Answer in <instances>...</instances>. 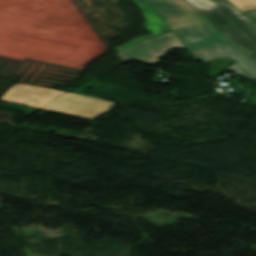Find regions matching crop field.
Masks as SVG:
<instances>
[{
  "instance_id": "1",
  "label": "crop field",
  "mask_w": 256,
  "mask_h": 256,
  "mask_svg": "<svg viewBox=\"0 0 256 256\" xmlns=\"http://www.w3.org/2000/svg\"><path fill=\"white\" fill-rule=\"evenodd\" d=\"M201 61L229 56L238 63L229 67L256 79V65L220 33L186 0H145Z\"/></svg>"
},
{
  "instance_id": "2",
  "label": "crop field",
  "mask_w": 256,
  "mask_h": 256,
  "mask_svg": "<svg viewBox=\"0 0 256 256\" xmlns=\"http://www.w3.org/2000/svg\"><path fill=\"white\" fill-rule=\"evenodd\" d=\"M10 89V88H9ZM40 86L18 83L0 99L42 110L93 120L107 113L113 102L68 93Z\"/></svg>"
},
{
  "instance_id": "3",
  "label": "crop field",
  "mask_w": 256,
  "mask_h": 256,
  "mask_svg": "<svg viewBox=\"0 0 256 256\" xmlns=\"http://www.w3.org/2000/svg\"><path fill=\"white\" fill-rule=\"evenodd\" d=\"M206 1L212 8L198 11L256 64V24L228 0Z\"/></svg>"
},
{
  "instance_id": "4",
  "label": "crop field",
  "mask_w": 256,
  "mask_h": 256,
  "mask_svg": "<svg viewBox=\"0 0 256 256\" xmlns=\"http://www.w3.org/2000/svg\"><path fill=\"white\" fill-rule=\"evenodd\" d=\"M173 32L133 44L117 54L123 62L136 60L154 65L171 48H183Z\"/></svg>"
},
{
  "instance_id": "5",
  "label": "crop field",
  "mask_w": 256,
  "mask_h": 256,
  "mask_svg": "<svg viewBox=\"0 0 256 256\" xmlns=\"http://www.w3.org/2000/svg\"><path fill=\"white\" fill-rule=\"evenodd\" d=\"M133 1H135L141 8L143 14L145 15V17L147 19V30H149L152 34L144 36L142 38H138V39L133 40L125 45H122V46L114 49L116 51H118V50L140 40V39H145L150 36L169 31V28L142 2V0H133Z\"/></svg>"
},
{
  "instance_id": "6",
  "label": "crop field",
  "mask_w": 256,
  "mask_h": 256,
  "mask_svg": "<svg viewBox=\"0 0 256 256\" xmlns=\"http://www.w3.org/2000/svg\"><path fill=\"white\" fill-rule=\"evenodd\" d=\"M239 8L249 19L256 23V0H229Z\"/></svg>"
},
{
  "instance_id": "7",
  "label": "crop field",
  "mask_w": 256,
  "mask_h": 256,
  "mask_svg": "<svg viewBox=\"0 0 256 256\" xmlns=\"http://www.w3.org/2000/svg\"><path fill=\"white\" fill-rule=\"evenodd\" d=\"M187 1L191 3L193 6H195L196 8H210V5L204 0H187Z\"/></svg>"
}]
</instances>
